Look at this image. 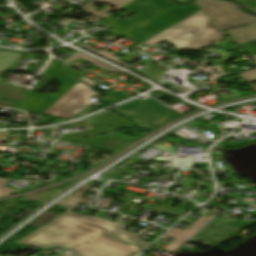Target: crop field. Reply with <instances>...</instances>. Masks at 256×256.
I'll return each mask as SVG.
<instances>
[{
	"label": "crop field",
	"mask_w": 256,
	"mask_h": 256,
	"mask_svg": "<svg viewBox=\"0 0 256 256\" xmlns=\"http://www.w3.org/2000/svg\"><path fill=\"white\" fill-rule=\"evenodd\" d=\"M122 137L123 136L119 134L104 135L92 138H66L62 136L60 140L92 145L93 147L102 150L116 152L129 140L126 137H124L125 139H122Z\"/></svg>",
	"instance_id": "obj_9"
},
{
	"label": "crop field",
	"mask_w": 256,
	"mask_h": 256,
	"mask_svg": "<svg viewBox=\"0 0 256 256\" xmlns=\"http://www.w3.org/2000/svg\"><path fill=\"white\" fill-rule=\"evenodd\" d=\"M146 2H150V4L145 5ZM140 3H142V5H140ZM171 6H173V3L169 0H134L121 8L136 13L132 16L133 19L117 21L108 16L104 21H107L114 30L111 34L116 35ZM149 10H151V12H149ZM156 10H159V12H155Z\"/></svg>",
	"instance_id": "obj_7"
},
{
	"label": "crop field",
	"mask_w": 256,
	"mask_h": 256,
	"mask_svg": "<svg viewBox=\"0 0 256 256\" xmlns=\"http://www.w3.org/2000/svg\"><path fill=\"white\" fill-rule=\"evenodd\" d=\"M5 71H0V75L2 74V73H4Z\"/></svg>",
	"instance_id": "obj_31"
},
{
	"label": "crop field",
	"mask_w": 256,
	"mask_h": 256,
	"mask_svg": "<svg viewBox=\"0 0 256 256\" xmlns=\"http://www.w3.org/2000/svg\"><path fill=\"white\" fill-rule=\"evenodd\" d=\"M33 256H35V255H33ZM60 256H66V255L62 254V255H60Z\"/></svg>",
	"instance_id": "obj_32"
},
{
	"label": "crop field",
	"mask_w": 256,
	"mask_h": 256,
	"mask_svg": "<svg viewBox=\"0 0 256 256\" xmlns=\"http://www.w3.org/2000/svg\"><path fill=\"white\" fill-rule=\"evenodd\" d=\"M199 10L201 9L193 3L183 7L175 6L122 33L121 35L139 42L130 48L133 49Z\"/></svg>",
	"instance_id": "obj_3"
},
{
	"label": "crop field",
	"mask_w": 256,
	"mask_h": 256,
	"mask_svg": "<svg viewBox=\"0 0 256 256\" xmlns=\"http://www.w3.org/2000/svg\"><path fill=\"white\" fill-rule=\"evenodd\" d=\"M239 47H241L244 51H246L251 56L256 55V41L240 45Z\"/></svg>",
	"instance_id": "obj_22"
},
{
	"label": "crop field",
	"mask_w": 256,
	"mask_h": 256,
	"mask_svg": "<svg viewBox=\"0 0 256 256\" xmlns=\"http://www.w3.org/2000/svg\"><path fill=\"white\" fill-rule=\"evenodd\" d=\"M66 69H67V72H68L69 76L72 77V78H76L77 79L80 75H82V74H80L78 72L73 71L72 69H69L68 66H66Z\"/></svg>",
	"instance_id": "obj_26"
},
{
	"label": "crop field",
	"mask_w": 256,
	"mask_h": 256,
	"mask_svg": "<svg viewBox=\"0 0 256 256\" xmlns=\"http://www.w3.org/2000/svg\"><path fill=\"white\" fill-rule=\"evenodd\" d=\"M224 36L222 30L201 10L134 50L166 40L179 50L198 51Z\"/></svg>",
	"instance_id": "obj_2"
},
{
	"label": "crop field",
	"mask_w": 256,
	"mask_h": 256,
	"mask_svg": "<svg viewBox=\"0 0 256 256\" xmlns=\"http://www.w3.org/2000/svg\"><path fill=\"white\" fill-rule=\"evenodd\" d=\"M99 107H101L100 104L96 105L94 108L98 109Z\"/></svg>",
	"instance_id": "obj_30"
},
{
	"label": "crop field",
	"mask_w": 256,
	"mask_h": 256,
	"mask_svg": "<svg viewBox=\"0 0 256 256\" xmlns=\"http://www.w3.org/2000/svg\"><path fill=\"white\" fill-rule=\"evenodd\" d=\"M86 121L118 127H128V125L130 124L127 121L120 119L118 116L112 114L111 112L105 113L103 115L91 119H87Z\"/></svg>",
	"instance_id": "obj_13"
},
{
	"label": "crop field",
	"mask_w": 256,
	"mask_h": 256,
	"mask_svg": "<svg viewBox=\"0 0 256 256\" xmlns=\"http://www.w3.org/2000/svg\"><path fill=\"white\" fill-rule=\"evenodd\" d=\"M6 181L0 180V197L10 195L11 189L3 188Z\"/></svg>",
	"instance_id": "obj_24"
},
{
	"label": "crop field",
	"mask_w": 256,
	"mask_h": 256,
	"mask_svg": "<svg viewBox=\"0 0 256 256\" xmlns=\"http://www.w3.org/2000/svg\"><path fill=\"white\" fill-rule=\"evenodd\" d=\"M0 105H4V106H8V107L19 109L21 104L11 103V102H6V101H1L0 100Z\"/></svg>",
	"instance_id": "obj_25"
},
{
	"label": "crop field",
	"mask_w": 256,
	"mask_h": 256,
	"mask_svg": "<svg viewBox=\"0 0 256 256\" xmlns=\"http://www.w3.org/2000/svg\"><path fill=\"white\" fill-rule=\"evenodd\" d=\"M127 98H129V97H127L123 93H118V92L112 91L109 95H107L106 98L103 99V101L106 103L113 104V103H117V102L122 101Z\"/></svg>",
	"instance_id": "obj_19"
},
{
	"label": "crop field",
	"mask_w": 256,
	"mask_h": 256,
	"mask_svg": "<svg viewBox=\"0 0 256 256\" xmlns=\"http://www.w3.org/2000/svg\"><path fill=\"white\" fill-rule=\"evenodd\" d=\"M90 186H83L79 189H77L74 193L64 198L62 201H60L57 205H61L64 207L72 208L74 209L81 201H83L86 197L80 196L82 193H84Z\"/></svg>",
	"instance_id": "obj_14"
},
{
	"label": "crop field",
	"mask_w": 256,
	"mask_h": 256,
	"mask_svg": "<svg viewBox=\"0 0 256 256\" xmlns=\"http://www.w3.org/2000/svg\"><path fill=\"white\" fill-rule=\"evenodd\" d=\"M95 93L97 92L93 91L86 84L78 83L44 113L69 118L90 104L91 102H88L87 98Z\"/></svg>",
	"instance_id": "obj_8"
},
{
	"label": "crop field",
	"mask_w": 256,
	"mask_h": 256,
	"mask_svg": "<svg viewBox=\"0 0 256 256\" xmlns=\"http://www.w3.org/2000/svg\"><path fill=\"white\" fill-rule=\"evenodd\" d=\"M95 1H97V0H92V1H90L89 4L86 5V6H84V7H82V9L85 10L86 12L90 13V14H94V15H97V16H100V17L106 16V15H104V14H102V13L105 12L106 10H108V9L111 10V11H113V9H110V8L106 7V8H104L103 10H101L100 12H98V13L95 12V11H94V8H95V7H90V6H89L90 4H92V3L95 2ZM99 1H103V2H106V3H110V4H112V5H114V6L118 7V8H120V7L124 6L125 4L129 3V2L132 1V0H99Z\"/></svg>",
	"instance_id": "obj_15"
},
{
	"label": "crop field",
	"mask_w": 256,
	"mask_h": 256,
	"mask_svg": "<svg viewBox=\"0 0 256 256\" xmlns=\"http://www.w3.org/2000/svg\"><path fill=\"white\" fill-rule=\"evenodd\" d=\"M90 125L93 128L92 130L87 131V132L68 134V136H90V135L109 133V132H113L115 130V128L111 127V126L93 124V123H90Z\"/></svg>",
	"instance_id": "obj_17"
},
{
	"label": "crop field",
	"mask_w": 256,
	"mask_h": 256,
	"mask_svg": "<svg viewBox=\"0 0 256 256\" xmlns=\"http://www.w3.org/2000/svg\"><path fill=\"white\" fill-rule=\"evenodd\" d=\"M115 110L133 120L138 126L150 130L178 116L151 99L137 100Z\"/></svg>",
	"instance_id": "obj_4"
},
{
	"label": "crop field",
	"mask_w": 256,
	"mask_h": 256,
	"mask_svg": "<svg viewBox=\"0 0 256 256\" xmlns=\"http://www.w3.org/2000/svg\"><path fill=\"white\" fill-rule=\"evenodd\" d=\"M84 46H85V48H87V49H89V50H91V51H93V52H96V53H98V54H100V55H102V56H105V57H107V58H109V59H112V60H114V61H116V62H118V63H121V64H123V65L129 67L128 64L119 61L121 58L115 57L116 54H114V53H109V52H106V51H104V50L98 52V51L92 49L91 46H88V45H86V44H84Z\"/></svg>",
	"instance_id": "obj_20"
},
{
	"label": "crop field",
	"mask_w": 256,
	"mask_h": 256,
	"mask_svg": "<svg viewBox=\"0 0 256 256\" xmlns=\"http://www.w3.org/2000/svg\"><path fill=\"white\" fill-rule=\"evenodd\" d=\"M211 219L201 217L196 221L190 228L186 231L182 229L174 228L166 236L176 238L171 244H169L164 250L166 251H175L183 243H185L190 237H192L198 230H200L206 223Z\"/></svg>",
	"instance_id": "obj_10"
},
{
	"label": "crop field",
	"mask_w": 256,
	"mask_h": 256,
	"mask_svg": "<svg viewBox=\"0 0 256 256\" xmlns=\"http://www.w3.org/2000/svg\"><path fill=\"white\" fill-rule=\"evenodd\" d=\"M90 111H93V110L86 109V110L82 111L81 113H79L78 115H76L75 117L86 115V114L90 113ZM75 117H73V118H75Z\"/></svg>",
	"instance_id": "obj_28"
},
{
	"label": "crop field",
	"mask_w": 256,
	"mask_h": 256,
	"mask_svg": "<svg viewBox=\"0 0 256 256\" xmlns=\"http://www.w3.org/2000/svg\"><path fill=\"white\" fill-rule=\"evenodd\" d=\"M43 76L52 77L59 81L61 83L60 92L54 96H51L50 94H38L35 91L43 86V84H39L35 91L30 93L28 98L21 105V110L43 113L78 83L74 79L67 77L66 73L62 70V64L55 59H53L50 65L47 67L43 73Z\"/></svg>",
	"instance_id": "obj_5"
},
{
	"label": "crop field",
	"mask_w": 256,
	"mask_h": 256,
	"mask_svg": "<svg viewBox=\"0 0 256 256\" xmlns=\"http://www.w3.org/2000/svg\"><path fill=\"white\" fill-rule=\"evenodd\" d=\"M256 61V56L252 57ZM241 78H243L247 83L255 82L256 81V70L246 72L243 74H239Z\"/></svg>",
	"instance_id": "obj_21"
},
{
	"label": "crop field",
	"mask_w": 256,
	"mask_h": 256,
	"mask_svg": "<svg viewBox=\"0 0 256 256\" xmlns=\"http://www.w3.org/2000/svg\"><path fill=\"white\" fill-rule=\"evenodd\" d=\"M1 133V132H0Z\"/></svg>",
	"instance_id": "obj_33"
},
{
	"label": "crop field",
	"mask_w": 256,
	"mask_h": 256,
	"mask_svg": "<svg viewBox=\"0 0 256 256\" xmlns=\"http://www.w3.org/2000/svg\"><path fill=\"white\" fill-rule=\"evenodd\" d=\"M194 2L224 31L256 22V17L243 13L231 2L221 0Z\"/></svg>",
	"instance_id": "obj_6"
},
{
	"label": "crop field",
	"mask_w": 256,
	"mask_h": 256,
	"mask_svg": "<svg viewBox=\"0 0 256 256\" xmlns=\"http://www.w3.org/2000/svg\"><path fill=\"white\" fill-rule=\"evenodd\" d=\"M249 10L256 12V0H240Z\"/></svg>",
	"instance_id": "obj_23"
},
{
	"label": "crop field",
	"mask_w": 256,
	"mask_h": 256,
	"mask_svg": "<svg viewBox=\"0 0 256 256\" xmlns=\"http://www.w3.org/2000/svg\"><path fill=\"white\" fill-rule=\"evenodd\" d=\"M91 200H92V199L87 198V199L84 200L81 204L87 205V204H89V202H90Z\"/></svg>",
	"instance_id": "obj_29"
},
{
	"label": "crop field",
	"mask_w": 256,
	"mask_h": 256,
	"mask_svg": "<svg viewBox=\"0 0 256 256\" xmlns=\"http://www.w3.org/2000/svg\"><path fill=\"white\" fill-rule=\"evenodd\" d=\"M127 226L67 212L16 243L47 248L58 246L74 256H135L150 245L138 234L123 231ZM135 246L123 243L109 235Z\"/></svg>",
	"instance_id": "obj_1"
},
{
	"label": "crop field",
	"mask_w": 256,
	"mask_h": 256,
	"mask_svg": "<svg viewBox=\"0 0 256 256\" xmlns=\"http://www.w3.org/2000/svg\"><path fill=\"white\" fill-rule=\"evenodd\" d=\"M79 57H82V58L90 61L89 63H91V64H93V65H95V66H97V67H99L101 69H108V71H110V72H115V73H119V74L123 73V72H121V71H119V70H117L115 68H112V67H110V66H108L106 64H103V63L95 60V59H92V58H90V57H88V56H86V55H84V54H82V53H80L78 51H76L75 54L72 57H70L67 61L71 62V61H73V60H75V59H77Z\"/></svg>",
	"instance_id": "obj_18"
},
{
	"label": "crop field",
	"mask_w": 256,
	"mask_h": 256,
	"mask_svg": "<svg viewBox=\"0 0 256 256\" xmlns=\"http://www.w3.org/2000/svg\"><path fill=\"white\" fill-rule=\"evenodd\" d=\"M3 81L4 79L0 80V99L17 102L21 98L18 103L22 104L28 96V94H25V90L6 85L2 83Z\"/></svg>",
	"instance_id": "obj_12"
},
{
	"label": "crop field",
	"mask_w": 256,
	"mask_h": 256,
	"mask_svg": "<svg viewBox=\"0 0 256 256\" xmlns=\"http://www.w3.org/2000/svg\"><path fill=\"white\" fill-rule=\"evenodd\" d=\"M81 82L87 83V84H89L91 87H93V86L95 85L93 81H91V80H89V79H86V78H83V79L81 80Z\"/></svg>",
	"instance_id": "obj_27"
},
{
	"label": "crop field",
	"mask_w": 256,
	"mask_h": 256,
	"mask_svg": "<svg viewBox=\"0 0 256 256\" xmlns=\"http://www.w3.org/2000/svg\"><path fill=\"white\" fill-rule=\"evenodd\" d=\"M21 52L0 49V70H7L10 65L21 55ZM1 79V78H0Z\"/></svg>",
	"instance_id": "obj_16"
},
{
	"label": "crop field",
	"mask_w": 256,
	"mask_h": 256,
	"mask_svg": "<svg viewBox=\"0 0 256 256\" xmlns=\"http://www.w3.org/2000/svg\"><path fill=\"white\" fill-rule=\"evenodd\" d=\"M238 45L256 40V23L226 31Z\"/></svg>",
	"instance_id": "obj_11"
}]
</instances>
